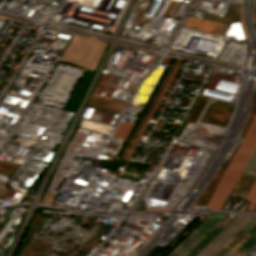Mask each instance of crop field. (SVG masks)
Returning <instances> with one entry per match:
<instances>
[{
	"label": "crop field",
	"mask_w": 256,
	"mask_h": 256,
	"mask_svg": "<svg viewBox=\"0 0 256 256\" xmlns=\"http://www.w3.org/2000/svg\"><path fill=\"white\" fill-rule=\"evenodd\" d=\"M252 218L248 215H236L196 256H214Z\"/></svg>",
	"instance_id": "1"
},
{
	"label": "crop field",
	"mask_w": 256,
	"mask_h": 256,
	"mask_svg": "<svg viewBox=\"0 0 256 256\" xmlns=\"http://www.w3.org/2000/svg\"><path fill=\"white\" fill-rule=\"evenodd\" d=\"M227 214H211L168 256H185L203 237H205Z\"/></svg>",
	"instance_id": "2"
},
{
	"label": "crop field",
	"mask_w": 256,
	"mask_h": 256,
	"mask_svg": "<svg viewBox=\"0 0 256 256\" xmlns=\"http://www.w3.org/2000/svg\"><path fill=\"white\" fill-rule=\"evenodd\" d=\"M256 131V116L254 117L244 139L243 142L240 144V146L238 147V149L236 150L232 160L230 161L227 169L225 170L221 180L219 181L208 205L206 208H211L213 209L216 202L218 201L222 191L224 190L228 180L230 179L234 169L236 168L240 158L242 157L247 145L249 144L254 132Z\"/></svg>",
	"instance_id": "3"
},
{
	"label": "crop field",
	"mask_w": 256,
	"mask_h": 256,
	"mask_svg": "<svg viewBox=\"0 0 256 256\" xmlns=\"http://www.w3.org/2000/svg\"><path fill=\"white\" fill-rule=\"evenodd\" d=\"M231 19L206 14L203 20L188 16L185 27L223 36Z\"/></svg>",
	"instance_id": "4"
},
{
	"label": "crop field",
	"mask_w": 256,
	"mask_h": 256,
	"mask_svg": "<svg viewBox=\"0 0 256 256\" xmlns=\"http://www.w3.org/2000/svg\"><path fill=\"white\" fill-rule=\"evenodd\" d=\"M254 147H256V132H255L250 144L248 145L243 157L241 158L237 168L235 169L231 179L229 180L225 190L223 191L215 209H221L222 208L228 194L230 193V191H231L232 187L234 186L235 182L237 181V179H238L243 167L245 166L246 162L248 161V159H249V157L252 153L251 151H253Z\"/></svg>",
	"instance_id": "5"
},
{
	"label": "crop field",
	"mask_w": 256,
	"mask_h": 256,
	"mask_svg": "<svg viewBox=\"0 0 256 256\" xmlns=\"http://www.w3.org/2000/svg\"><path fill=\"white\" fill-rule=\"evenodd\" d=\"M242 231L251 234V236L244 242V244L238 249V251L244 253L255 241H256V219H252L243 229ZM255 234V235H254ZM245 233L239 232L235 238H233L227 246L233 247L243 236ZM254 235V237H252ZM256 244V242L245 252V254Z\"/></svg>",
	"instance_id": "6"
},
{
	"label": "crop field",
	"mask_w": 256,
	"mask_h": 256,
	"mask_svg": "<svg viewBox=\"0 0 256 256\" xmlns=\"http://www.w3.org/2000/svg\"><path fill=\"white\" fill-rule=\"evenodd\" d=\"M243 172L256 175V148L247 162ZM245 199L252 200L248 209L254 210L256 206V181L252 185Z\"/></svg>",
	"instance_id": "7"
},
{
	"label": "crop field",
	"mask_w": 256,
	"mask_h": 256,
	"mask_svg": "<svg viewBox=\"0 0 256 256\" xmlns=\"http://www.w3.org/2000/svg\"><path fill=\"white\" fill-rule=\"evenodd\" d=\"M222 227L216 226L204 239H202L186 256L197 254L220 230Z\"/></svg>",
	"instance_id": "8"
},
{
	"label": "crop field",
	"mask_w": 256,
	"mask_h": 256,
	"mask_svg": "<svg viewBox=\"0 0 256 256\" xmlns=\"http://www.w3.org/2000/svg\"><path fill=\"white\" fill-rule=\"evenodd\" d=\"M131 126V123L121 121L113 136L125 139Z\"/></svg>",
	"instance_id": "9"
},
{
	"label": "crop field",
	"mask_w": 256,
	"mask_h": 256,
	"mask_svg": "<svg viewBox=\"0 0 256 256\" xmlns=\"http://www.w3.org/2000/svg\"><path fill=\"white\" fill-rule=\"evenodd\" d=\"M180 61H181V59L178 61V63H177V65H176V67H175V69H174V71H173V73H172V75H171V77H170V79H169V81H168V83H167V85H166V87H165V89H164V91H163L162 95L160 96V98H159V100H158L157 104L155 105V107H154V109H153L152 113L150 114L149 118L147 119V121H146V123H145L144 127L142 128V130H141V132H140V134L142 133L143 129L146 127V125H147V123H148L149 119L151 118V116H152V114H153V112H154V110H155L156 106L158 105L159 101L161 100L162 96L164 95V93H165V91H166V89H167V87H168V85H169L170 81L172 80V78H173L174 74H175V73H176V71H177V68H178V66H179V64H180ZM140 134L138 135V137H137V139H136L135 143L133 144V146H132L131 150L129 151V153H128L127 157H126V160L128 159L129 154H130V153H131V151L133 150V148H134V146H135V144H136V142H137V140H138V138H139ZM141 135H142V134H141ZM140 137H141V136H140Z\"/></svg>",
	"instance_id": "10"
},
{
	"label": "crop field",
	"mask_w": 256,
	"mask_h": 256,
	"mask_svg": "<svg viewBox=\"0 0 256 256\" xmlns=\"http://www.w3.org/2000/svg\"><path fill=\"white\" fill-rule=\"evenodd\" d=\"M216 256H241V255L224 247Z\"/></svg>",
	"instance_id": "11"
},
{
	"label": "crop field",
	"mask_w": 256,
	"mask_h": 256,
	"mask_svg": "<svg viewBox=\"0 0 256 256\" xmlns=\"http://www.w3.org/2000/svg\"><path fill=\"white\" fill-rule=\"evenodd\" d=\"M246 236H248V237H249V235H248V234H246ZM243 239H245V240H246V239H247V237H245V236H244V237H243ZM239 242H240V243H242V242H244V240H242V239H241ZM236 245H237V246H240V244H239V243H237ZM233 248H234V249H236L237 247H236V246H234Z\"/></svg>",
	"instance_id": "12"
},
{
	"label": "crop field",
	"mask_w": 256,
	"mask_h": 256,
	"mask_svg": "<svg viewBox=\"0 0 256 256\" xmlns=\"http://www.w3.org/2000/svg\"><path fill=\"white\" fill-rule=\"evenodd\" d=\"M254 6H256V2L254 3ZM253 14L256 15V9H255V8H254V10H253Z\"/></svg>",
	"instance_id": "13"
}]
</instances>
